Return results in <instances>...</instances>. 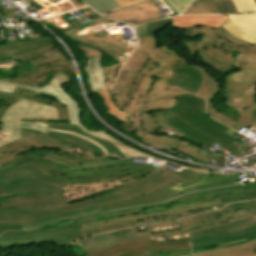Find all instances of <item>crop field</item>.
<instances>
[{
	"mask_svg": "<svg viewBox=\"0 0 256 256\" xmlns=\"http://www.w3.org/2000/svg\"><path fill=\"white\" fill-rule=\"evenodd\" d=\"M35 67L27 72L20 73V83L0 82V120L6 109L13 105L18 98L2 96L3 92L12 93L15 86L35 90L41 95H48L59 100L70 115V124L49 123L48 128L72 131L100 143L109 154L125 158L131 156H149L134 148L119 142L105 131L91 132L81 123V107L61 85L70 82L74 77L73 66L70 61L55 47L27 57ZM12 125H0V145L16 140L10 136ZM157 158V157H154ZM159 159V158H157Z\"/></svg>",
	"mask_w": 256,
	"mask_h": 256,
	"instance_id": "8a807250",
	"label": "crop field"
},
{
	"mask_svg": "<svg viewBox=\"0 0 256 256\" xmlns=\"http://www.w3.org/2000/svg\"><path fill=\"white\" fill-rule=\"evenodd\" d=\"M239 206V208H237ZM205 222L182 231L149 236L137 228L114 231L118 243L150 238L151 241L189 237L190 244L222 238L221 248L243 245L256 239V200L228 204L216 212L202 215Z\"/></svg>",
	"mask_w": 256,
	"mask_h": 256,
	"instance_id": "ac0d7876",
	"label": "crop field"
},
{
	"mask_svg": "<svg viewBox=\"0 0 256 256\" xmlns=\"http://www.w3.org/2000/svg\"><path fill=\"white\" fill-rule=\"evenodd\" d=\"M71 168L45 160H30L0 169V196L10 201L63 195L61 188ZM6 192V193H4Z\"/></svg>",
	"mask_w": 256,
	"mask_h": 256,
	"instance_id": "34b2d1b8",
	"label": "crop field"
},
{
	"mask_svg": "<svg viewBox=\"0 0 256 256\" xmlns=\"http://www.w3.org/2000/svg\"><path fill=\"white\" fill-rule=\"evenodd\" d=\"M175 98V105L161 112L170 121L167 125L189 135L183 137L184 139L200 146L204 144L207 148H211L214 143L226 147L236 141L224 133L229 128L205 114V100L190 94L178 95Z\"/></svg>",
	"mask_w": 256,
	"mask_h": 256,
	"instance_id": "412701ff",
	"label": "crop field"
},
{
	"mask_svg": "<svg viewBox=\"0 0 256 256\" xmlns=\"http://www.w3.org/2000/svg\"><path fill=\"white\" fill-rule=\"evenodd\" d=\"M3 95L22 98L13 106L7 109L6 114L2 118L0 123L13 124V132L11 134V137H14L16 139L21 138L19 137L20 130L46 135L47 130H52L47 129L48 119H68L67 110L59 101H51L47 98L33 93L30 90L16 87L13 94L4 93ZM67 133L77 135L72 132ZM84 139L95 144L97 147L102 149L105 154H108L101 145L87 138Z\"/></svg>",
	"mask_w": 256,
	"mask_h": 256,
	"instance_id": "f4fd0767",
	"label": "crop field"
},
{
	"mask_svg": "<svg viewBox=\"0 0 256 256\" xmlns=\"http://www.w3.org/2000/svg\"><path fill=\"white\" fill-rule=\"evenodd\" d=\"M123 191L66 205L64 196L0 203V216L19 215L23 227L80 214V209L127 200Z\"/></svg>",
	"mask_w": 256,
	"mask_h": 256,
	"instance_id": "dd49c442",
	"label": "crop field"
},
{
	"mask_svg": "<svg viewBox=\"0 0 256 256\" xmlns=\"http://www.w3.org/2000/svg\"><path fill=\"white\" fill-rule=\"evenodd\" d=\"M198 35H200L201 41L191 42L182 40L185 50L191 56H194L198 50L199 58L219 72H226L232 68L240 69L249 63L232 60V53L224 51L219 46L226 43L230 47L256 49V45L248 44V42L235 38L222 26L218 30L205 27H194L185 30L186 37Z\"/></svg>",
	"mask_w": 256,
	"mask_h": 256,
	"instance_id": "e52e79f7",
	"label": "crop field"
},
{
	"mask_svg": "<svg viewBox=\"0 0 256 256\" xmlns=\"http://www.w3.org/2000/svg\"><path fill=\"white\" fill-rule=\"evenodd\" d=\"M242 192V186H231V187H223L216 188L202 192L190 193L176 199L170 200L166 203L155 204V205H147L143 207L125 209L113 211V214L123 213L133 210L143 209L145 214L135 215V216H125L121 218H111L102 221H94L90 223L80 224L78 225L80 231L83 233L84 237L87 235L92 236L99 234V232L103 233L100 227L115 224V223H123L127 221L139 220L147 217H152L161 214H168L180 210H185L201 205H206L210 203L219 202L217 199L219 195H229V194H237Z\"/></svg>",
	"mask_w": 256,
	"mask_h": 256,
	"instance_id": "d8731c3e",
	"label": "crop field"
},
{
	"mask_svg": "<svg viewBox=\"0 0 256 256\" xmlns=\"http://www.w3.org/2000/svg\"><path fill=\"white\" fill-rule=\"evenodd\" d=\"M80 243L85 256H178L191 253L189 243L171 246H150V240L118 244L111 232L89 237Z\"/></svg>",
	"mask_w": 256,
	"mask_h": 256,
	"instance_id": "5a996713",
	"label": "crop field"
},
{
	"mask_svg": "<svg viewBox=\"0 0 256 256\" xmlns=\"http://www.w3.org/2000/svg\"><path fill=\"white\" fill-rule=\"evenodd\" d=\"M236 177L237 174H201L196 171H190L188 169L176 172L167 168L160 167L158 171L149 174L142 179L127 182L121 185L128 198L132 199L146 193L173 185L176 187L182 185L185 189L200 184Z\"/></svg>",
	"mask_w": 256,
	"mask_h": 256,
	"instance_id": "3316defc",
	"label": "crop field"
},
{
	"mask_svg": "<svg viewBox=\"0 0 256 256\" xmlns=\"http://www.w3.org/2000/svg\"><path fill=\"white\" fill-rule=\"evenodd\" d=\"M221 48L229 52L239 51L236 57H232L234 60L251 61L239 73H231L225 78L218 93L239 101L235 105L238 109L244 108L256 97V50L230 48L226 44Z\"/></svg>",
	"mask_w": 256,
	"mask_h": 256,
	"instance_id": "28ad6ade",
	"label": "crop field"
},
{
	"mask_svg": "<svg viewBox=\"0 0 256 256\" xmlns=\"http://www.w3.org/2000/svg\"><path fill=\"white\" fill-rule=\"evenodd\" d=\"M186 92L157 79L144 76L138 93L127 110L131 122L142 128L140 111L163 110L173 106L174 95Z\"/></svg>",
	"mask_w": 256,
	"mask_h": 256,
	"instance_id": "d1516ede",
	"label": "crop field"
},
{
	"mask_svg": "<svg viewBox=\"0 0 256 256\" xmlns=\"http://www.w3.org/2000/svg\"><path fill=\"white\" fill-rule=\"evenodd\" d=\"M157 167V165L153 164L132 163V158H130L101 166L73 168L65 183L106 180L124 182L142 177L152 172Z\"/></svg>",
	"mask_w": 256,
	"mask_h": 256,
	"instance_id": "22f410ed",
	"label": "crop field"
},
{
	"mask_svg": "<svg viewBox=\"0 0 256 256\" xmlns=\"http://www.w3.org/2000/svg\"><path fill=\"white\" fill-rule=\"evenodd\" d=\"M134 52V51H133ZM150 58L136 51L124 64L118 79L111 90L117 103L125 112L132 100L133 92H137L143 75H140Z\"/></svg>",
	"mask_w": 256,
	"mask_h": 256,
	"instance_id": "cbeb9de0",
	"label": "crop field"
},
{
	"mask_svg": "<svg viewBox=\"0 0 256 256\" xmlns=\"http://www.w3.org/2000/svg\"><path fill=\"white\" fill-rule=\"evenodd\" d=\"M233 182H234V180L230 179V180H224V181H220V182L200 185V186L192 187V188L185 189V190H183L181 186L178 188L173 186V187L165 188L162 190H158V191L146 194L144 196H141V197H138V198H135L132 200H127V201H123V202H119V203H113V204H109V205H103V206H97V207L84 209V210H82V212L84 214H81V215H87V214H93V213H98V212L111 211V210H115V209H119V208L134 207V206L162 202V201H166L171 198H175V197L184 195V194L192 192V191H196V190H200V189H208V188L218 187V186L230 185V184H233ZM81 215L68 217V218H62V219L51 221L49 223L64 220V219L74 218V217H78ZM49 223H45L41 226H44ZM37 227H40V226H37ZM31 228H36V227H30V228H25V229H31Z\"/></svg>",
	"mask_w": 256,
	"mask_h": 256,
	"instance_id": "5142ce71",
	"label": "crop field"
},
{
	"mask_svg": "<svg viewBox=\"0 0 256 256\" xmlns=\"http://www.w3.org/2000/svg\"><path fill=\"white\" fill-rule=\"evenodd\" d=\"M137 50L151 58L142 74L164 81L172 75L171 66L176 59L187 62L186 58L180 57L166 44L157 48L156 39L152 35L140 39Z\"/></svg>",
	"mask_w": 256,
	"mask_h": 256,
	"instance_id": "d9b57169",
	"label": "crop field"
},
{
	"mask_svg": "<svg viewBox=\"0 0 256 256\" xmlns=\"http://www.w3.org/2000/svg\"><path fill=\"white\" fill-rule=\"evenodd\" d=\"M113 23V21L105 20V19H97L95 21L89 22L84 24L80 27L67 31L63 34L67 35L68 37L80 41L83 44H87L96 48H100L105 51L108 55L112 58L117 60L118 62H123L126 58L122 56L124 52V47L122 42L108 39V38H97L94 37V34L89 30L90 27L99 25V24H109Z\"/></svg>",
	"mask_w": 256,
	"mask_h": 256,
	"instance_id": "733c2abd",
	"label": "crop field"
},
{
	"mask_svg": "<svg viewBox=\"0 0 256 256\" xmlns=\"http://www.w3.org/2000/svg\"><path fill=\"white\" fill-rule=\"evenodd\" d=\"M122 130L134 132V136H136L141 141H143L149 145L166 147L169 149H176V150L192 157L194 160H198L203 163H207V161H208V157L206 156L204 158L200 154H198L197 152L200 149L191 145L189 142L179 140L175 137L150 134V133H147V132L133 126L131 123L126 124V123L122 122Z\"/></svg>",
	"mask_w": 256,
	"mask_h": 256,
	"instance_id": "4a817a6b",
	"label": "crop field"
},
{
	"mask_svg": "<svg viewBox=\"0 0 256 256\" xmlns=\"http://www.w3.org/2000/svg\"><path fill=\"white\" fill-rule=\"evenodd\" d=\"M157 11L159 9L150 0H142L119 10L106 13L103 16L125 23L135 21L136 25H138L160 18Z\"/></svg>",
	"mask_w": 256,
	"mask_h": 256,
	"instance_id": "bc2a9ffb",
	"label": "crop field"
},
{
	"mask_svg": "<svg viewBox=\"0 0 256 256\" xmlns=\"http://www.w3.org/2000/svg\"><path fill=\"white\" fill-rule=\"evenodd\" d=\"M20 135L58 144L72 151L103 154V152L99 148H97L95 145L91 144L90 142L82 138H79L77 136H72L71 134H67V133L48 131L47 136H44V135L21 131Z\"/></svg>",
	"mask_w": 256,
	"mask_h": 256,
	"instance_id": "214f88e0",
	"label": "crop field"
},
{
	"mask_svg": "<svg viewBox=\"0 0 256 256\" xmlns=\"http://www.w3.org/2000/svg\"><path fill=\"white\" fill-rule=\"evenodd\" d=\"M40 148L55 149L67 155L77 156V157L82 156L83 159L97 156V155L78 154L55 145L45 144L39 141L21 138L19 140L13 141L6 145L0 146V163L5 162L15 156L27 153L32 150L40 149Z\"/></svg>",
	"mask_w": 256,
	"mask_h": 256,
	"instance_id": "92a150f3",
	"label": "crop field"
},
{
	"mask_svg": "<svg viewBox=\"0 0 256 256\" xmlns=\"http://www.w3.org/2000/svg\"><path fill=\"white\" fill-rule=\"evenodd\" d=\"M53 46L49 37L22 43L2 45L0 46V63L23 59Z\"/></svg>",
	"mask_w": 256,
	"mask_h": 256,
	"instance_id": "dafd665d",
	"label": "crop field"
},
{
	"mask_svg": "<svg viewBox=\"0 0 256 256\" xmlns=\"http://www.w3.org/2000/svg\"><path fill=\"white\" fill-rule=\"evenodd\" d=\"M172 68L173 75L167 82L192 94L196 93L202 84V76L200 72L189 66V63H184L178 60H176Z\"/></svg>",
	"mask_w": 256,
	"mask_h": 256,
	"instance_id": "00972430",
	"label": "crop field"
},
{
	"mask_svg": "<svg viewBox=\"0 0 256 256\" xmlns=\"http://www.w3.org/2000/svg\"><path fill=\"white\" fill-rule=\"evenodd\" d=\"M222 26L235 37L256 44V14L230 16Z\"/></svg>",
	"mask_w": 256,
	"mask_h": 256,
	"instance_id": "a9b5d70f",
	"label": "crop field"
},
{
	"mask_svg": "<svg viewBox=\"0 0 256 256\" xmlns=\"http://www.w3.org/2000/svg\"><path fill=\"white\" fill-rule=\"evenodd\" d=\"M228 18V16H181L172 18L171 26L184 28L206 26L217 29Z\"/></svg>",
	"mask_w": 256,
	"mask_h": 256,
	"instance_id": "4177f3b9",
	"label": "crop field"
},
{
	"mask_svg": "<svg viewBox=\"0 0 256 256\" xmlns=\"http://www.w3.org/2000/svg\"><path fill=\"white\" fill-rule=\"evenodd\" d=\"M119 186L115 181L113 182H99V183H78V184H64L65 199H73L83 197L87 194L97 191L106 190L108 188Z\"/></svg>",
	"mask_w": 256,
	"mask_h": 256,
	"instance_id": "730fd06b",
	"label": "crop field"
},
{
	"mask_svg": "<svg viewBox=\"0 0 256 256\" xmlns=\"http://www.w3.org/2000/svg\"><path fill=\"white\" fill-rule=\"evenodd\" d=\"M141 115L143 128L148 131L155 133H165L179 137L186 136L185 134L165 125L164 123L168 122V120L160 111H156V113L150 115L141 113Z\"/></svg>",
	"mask_w": 256,
	"mask_h": 256,
	"instance_id": "eef30255",
	"label": "crop field"
},
{
	"mask_svg": "<svg viewBox=\"0 0 256 256\" xmlns=\"http://www.w3.org/2000/svg\"><path fill=\"white\" fill-rule=\"evenodd\" d=\"M102 57H94L87 61L85 72L88 75V84L91 91L107 89L103 68L100 65Z\"/></svg>",
	"mask_w": 256,
	"mask_h": 256,
	"instance_id": "ae1a2a85",
	"label": "crop field"
},
{
	"mask_svg": "<svg viewBox=\"0 0 256 256\" xmlns=\"http://www.w3.org/2000/svg\"><path fill=\"white\" fill-rule=\"evenodd\" d=\"M237 101L227 100L226 104L228 105V110L225 112V116L236 121V126L249 127L253 122V115L251 111L256 110V101L253 102L245 109L238 110L234 105Z\"/></svg>",
	"mask_w": 256,
	"mask_h": 256,
	"instance_id": "d3111659",
	"label": "crop field"
},
{
	"mask_svg": "<svg viewBox=\"0 0 256 256\" xmlns=\"http://www.w3.org/2000/svg\"><path fill=\"white\" fill-rule=\"evenodd\" d=\"M39 233H41L39 228L29 231H23L21 222L16 216L0 218V236L12 237Z\"/></svg>",
	"mask_w": 256,
	"mask_h": 256,
	"instance_id": "750c4746",
	"label": "crop field"
},
{
	"mask_svg": "<svg viewBox=\"0 0 256 256\" xmlns=\"http://www.w3.org/2000/svg\"><path fill=\"white\" fill-rule=\"evenodd\" d=\"M190 65L198 69L203 76V84L200 87V89L197 91L196 95H199L208 100H211L213 97L217 95L222 83H218L217 80L213 78L212 75L209 74L205 70V68L202 67L201 65H196L191 63Z\"/></svg>",
	"mask_w": 256,
	"mask_h": 256,
	"instance_id": "bd1437ed",
	"label": "crop field"
},
{
	"mask_svg": "<svg viewBox=\"0 0 256 256\" xmlns=\"http://www.w3.org/2000/svg\"><path fill=\"white\" fill-rule=\"evenodd\" d=\"M191 256H256V241L242 247L199 253Z\"/></svg>",
	"mask_w": 256,
	"mask_h": 256,
	"instance_id": "1d83c4d3",
	"label": "crop field"
},
{
	"mask_svg": "<svg viewBox=\"0 0 256 256\" xmlns=\"http://www.w3.org/2000/svg\"><path fill=\"white\" fill-rule=\"evenodd\" d=\"M46 150L47 149H40V150L32 151L30 153L15 157L5 163L0 164V168L1 169L8 168L12 165L22 163V162H24L26 160H30V159H45V160L52 161L50 159L45 158ZM53 162H55V161H53ZM56 163H59V162H56ZM59 164H62V163H59ZM63 165H66V164H63ZM67 166H71V165H67ZM71 167H80V166H71Z\"/></svg>",
	"mask_w": 256,
	"mask_h": 256,
	"instance_id": "120bbe31",
	"label": "crop field"
},
{
	"mask_svg": "<svg viewBox=\"0 0 256 256\" xmlns=\"http://www.w3.org/2000/svg\"><path fill=\"white\" fill-rule=\"evenodd\" d=\"M46 157L50 158L52 160H55V161L62 162V163L71 164V165H80L81 166V163L103 159L107 156H99V157H94V158L83 160L81 157L80 158L71 157V156H67L65 154H62L58 151H55V150H48Z\"/></svg>",
	"mask_w": 256,
	"mask_h": 256,
	"instance_id": "d32e631a",
	"label": "crop field"
},
{
	"mask_svg": "<svg viewBox=\"0 0 256 256\" xmlns=\"http://www.w3.org/2000/svg\"><path fill=\"white\" fill-rule=\"evenodd\" d=\"M102 99H103V103L104 105L109 108L108 112L110 115L120 119L121 121L124 122H129V119L127 117V115L122 112L113 102V99L111 97V95L109 94V91L107 90H103V91H99L96 92Z\"/></svg>",
	"mask_w": 256,
	"mask_h": 256,
	"instance_id": "5866460e",
	"label": "crop field"
},
{
	"mask_svg": "<svg viewBox=\"0 0 256 256\" xmlns=\"http://www.w3.org/2000/svg\"><path fill=\"white\" fill-rule=\"evenodd\" d=\"M171 23V18L153 21L136 27L138 38H143Z\"/></svg>",
	"mask_w": 256,
	"mask_h": 256,
	"instance_id": "028f5c9d",
	"label": "crop field"
},
{
	"mask_svg": "<svg viewBox=\"0 0 256 256\" xmlns=\"http://www.w3.org/2000/svg\"><path fill=\"white\" fill-rule=\"evenodd\" d=\"M92 9H94L99 14H104L108 11L120 7L114 0H82Z\"/></svg>",
	"mask_w": 256,
	"mask_h": 256,
	"instance_id": "e1f06a70",
	"label": "crop field"
},
{
	"mask_svg": "<svg viewBox=\"0 0 256 256\" xmlns=\"http://www.w3.org/2000/svg\"><path fill=\"white\" fill-rule=\"evenodd\" d=\"M213 14L206 0H194L191 6L181 15Z\"/></svg>",
	"mask_w": 256,
	"mask_h": 256,
	"instance_id": "0bd39190",
	"label": "crop field"
},
{
	"mask_svg": "<svg viewBox=\"0 0 256 256\" xmlns=\"http://www.w3.org/2000/svg\"><path fill=\"white\" fill-rule=\"evenodd\" d=\"M220 14H239L233 0H213Z\"/></svg>",
	"mask_w": 256,
	"mask_h": 256,
	"instance_id": "b80d0937",
	"label": "crop field"
},
{
	"mask_svg": "<svg viewBox=\"0 0 256 256\" xmlns=\"http://www.w3.org/2000/svg\"><path fill=\"white\" fill-rule=\"evenodd\" d=\"M220 204H222V202L210 204V205H206V206H201V207H197V208H193V209H189V210H185V211L176 212V213H173L172 215H173L174 219L191 216V215H196V214H200V213L204 212L202 208L216 206V205H220Z\"/></svg>",
	"mask_w": 256,
	"mask_h": 256,
	"instance_id": "c035e120",
	"label": "crop field"
},
{
	"mask_svg": "<svg viewBox=\"0 0 256 256\" xmlns=\"http://www.w3.org/2000/svg\"><path fill=\"white\" fill-rule=\"evenodd\" d=\"M240 13L256 12V7L252 0H234Z\"/></svg>",
	"mask_w": 256,
	"mask_h": 256,
	"instance_id": "c21b1889",
	"label": "crop field"
},
{
	"mask_svg": "<svg viewBox=\"0 0 256 256\" xmlns=\"http://www.w3.org/2000/svg\"><path fill=\"white\" fill-rule=\"evenodd\" d=\"M208 115L212 116L213 118L217 119L218 121L222 122L223 124L231 127L235 122L223 116L220 112H218L213 103H210Z\"/></svg>",
	"mask_w": 256,
	"mask_h": 256,
	"instance_id": "03da06ac",
	"label": "crop field"
},
{
	"mask_svg": "<svg viewBox=\"0 0 256 256\" xmlns=\"http://www.w3.org/2000/svg\"><path fill=\"white\" fill-rule=\"evenodd\" d=\"M181 224L179 220L176 221H171V222H165V223H160V224H155V225H150V226H145L147 231H156V230H162V229H168V228H174V227H180Z\"/></svg>",
	"mask_w": 256,
	"mask_h": 256,
	"instance_id": "b54c1fbb",
	"label": "crop field"
},
{
	"mask_svg": "<svg viewBox=\"0 0 256 256\" xmlns=\"http://www.w3.org/2000/svg\"><path fill=\"white\" fill-rule=\"evenodd\" d=\"M173 9L180 15L192 0H166ZM191 4V3H190Z\"/></svg>",
	"mask_w": 256,
	"mask_h": 256,
	"instance_id": "5d738f31",
	"label": "crop field"
},
{
	"mask_svg": "<svg viewBox=\"0 0 256 256\" xmlns=\"http://www.w3.org/2000/svg\"><path fill=\"white\" fill-rule=\"evenodd\" d=\"M78 46L83 51V53L86 54L87 59L94 57V56H102L101 51H99L97 49L87 48V47H83L81 45H78Z\"/></svg>",
	"mask_w": 256,
	"mask_h": 256,
	"instance_id": "d23c7cc5",
	"label": "crop field"
},
{
	"mask_svg": "<svg viewBox=\"0 0 256 256\" xmlns=\"http://www.w3.org/2000/svg\"><path fill=\"white\" fill-rule=\"evenodd\" d=\"M172 241H173V243H171L170 241L151 242V245H170V244H176V243L189 242L188 238L177 239V240H172Z\"/></svg>",
	"mask_w": 256,
	"mask_h": 256,
	"instance_id": "425ffa30",
	"label": "crop field"
},
{
	"mask_svg": "<svg viewBox=\"0 0 256 256\" xmlns=\"http://www.w3.org/2000/svg\"><path fill=\"white\" fill-rule=\"evenodd\" d=\"M119 5L123 6V5H126V4H129V3H132V2H135V1H138V0H116Z\"/></svg>",
	"mask_w": 256,
	"mask_h": 256,
	"instance_id": "25e5ab78",
	"label": "crop field"
},
{
	"mask_svg": "<svg viewBox=\"0 0 256 256\" xmlns=\"http://www.w3.org/2000/svg\"><path fill=\"white\" fill-rule=\"evenodd\" d=\"M121 67H122V64H119V63H118L117 69H116V71H115V73H114V76H113V79H112L111 86L113 85L114 80H115V78H116L118 72L120 71Z\"/></svg>",
	"mask_w": 256,
	"mask_h": 256,
	"instance_id": "73cf0c24",
	"label": "crop field"
},
{
	"mask_svg": "<svg viewBox=\"0 0 256 256\" xmlns=\"http://www.w3.org/2000/svg\"><path fill=\"white\" fill-rule=\"evenodd\" d=\"M207 1L209 2L212 10L214 11V14H219L217 9H216V7H215V5H214V3H213V1L212 0H207Z\"/></svg>",
	"mask_w": 256,
	"mask_h": 256,
	"instance_id": "89e229c0",
	"label": "crop field"
},
{
	"mask_svg": "<svg viewBox=\"0 0 256 256\" xmlns=\"http://www.w3.org/2000/svg\"><path fill=\"white\" fill-rule=\"evenodd\" d=\"M225 133H227V134H229V135H231V136H232V135H233V134H235L236 132H234V131H232V130H230V129H229V130H228V131H226Z\"/></svg>",
	"mask_w": 256,
	"mask_h": 256,
	"instance_id": "1f2cbd36",
	"label": "crop field"
},
{
	"mask_svg": "<svg viewBox=\"0 0 256 256\" xmlns=\"http://www.w3.org/2000/svg\"><path fill=\"white\" fill-rule=\"evenodd\" d=\"M188 168H191V167H188ZM191 169L198 170V171L210 172V170H206V169H196V168H191Z\"/></svg>",
	"mask_w": 256,
	"mask_h": 256,
	"instance_id": "dbb93151",
	"label": "crop field"
},
{
	"mask_svg": "<svg viewBox=\"0 0 256 256\" xmlns=\"http://www.w3.org/2000/svg\"><path fill=\"white\" fill-rule=\"evenodd\" d=\"M231 128L235 129V130L238 131V132L242 129L241 127H236V126H233V127H231Z\"/></svg>",
	"mask_w": 256,
	"mask_h": 256,
	"instance_id": "0fb4a251",
	"label": "crop field"
},
{
	"mask_svg": "<svg viewBox=\"0 0 256 256\" xmlns=\"http://www.w3.org/2000/svg\"><path fill=\"white\" fill-rule=\"evenodd\" d=\"M252 113H253L254 116L256 115V111H253Z\"/></svg>",
	"mask_w": 256,
	"mask_h": 256,
	"instance_id": "1d79db26",
	"label": "crop field"
},
{
	"mask_svg": "<svg viewBox=\"0 0 256 256\" xmlns=\"http://www.w3.org/2000/svg\"><path fill=\"white\" fill-rule=\"evenodd\" d=\"M165 1V0H164ZM166 2V1H165ZM167 3V2H166ZM168 4V3H167ZM169 5V4H168ZM170 6V5H169ZM171 7V6H170ZM172 10V9H171ZM174 11V10H173ZM175 12V11H174ZM176 13V12H175ZM176 15H178L177 13H176Z\"/></svg>",
	"mask_w": 256,
	"mask_h": 256,
	"instance_id": "9d1cf04e",
	"label": "crop field"
},
{
	"mask_svg": "<svg viewBox=\"0 0 256 256\" xmlns=\"http://www.w3.org/2000/svg\"><path fill=\"white\" fill-rule=\"evenodd\" d=\"M254 2H255V4H256V0H255Z\"/></svg>",
	"mask_w": 256,
	"mask_h": 256,
	"instance_id": "447ae74e",
	"label": "crop field"
}]
</instances>
